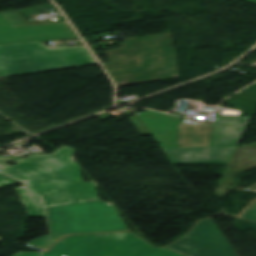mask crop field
<instances>
[{
    "label": "crop field",
    "instance_id": "crop-field-1",
    "mask_svg": "<svg viewBox=\"0 0 256 256\" xmlns=\"http://www.w3.org/2000/svg\"><path fill=\"white\" fill-rule=\"evenodd\" d=\"M74 150L64 145L50 155L0 157V172L23 182L41 207L99 201L95 183L83 182L79 164L69 160Z\"/></svg>",
    "mask_w": 256,
    "mask_h": 256
},
{
    "label": "crop field",
    "instance_id": "crop-field-2",
    "mask_svg": "<svg viewBox=\"0 0 256 256\" xmlns=\"http://www.w3.org/2000/svg\"><path fill=\"white\" fill-rule=\"evenodd\" d=\"M106 53L118 87L178 77L170 32L126 39Z\"/></svg>",
    "mask_w": 256,
    "mask_h": 256
},
{
    "label": "crop field",
    "instance_id": "crop-field-3",
    "mask_svg": "<svg viewBox=\"0 0 256 256\" xmlns=\"http://www.w3.org/2000/svg\"><path fill=\"white\" fill-rule=\"evenodd\" d=\"M83 47L49 49L42 42L0 46L2 78L94 65Z\"/></svg>",
    "mask_w": 256,
    "mask_h": 256
},
{
    "label": "crop field",
    "instance_id": "crop-field-4",
    "mask_svg": "<svg viewBox=\"0 0 256 256\" xmlns=\"http://www.w3.org/2000/svg\"><path fill=\"white\" fill-rule=\"evenodd\" d=\"M183 256L156 248L131 232L68 236L48 252H18L13 256Z\"/></svg>",
    "mask_w": 256,
    "mask_h": 256
},
{
    "label": "crop field",
    "instance_id": "crop-field-5",
    "mask_svg": "<svg viewBox=\"0 0 256 256\" xmlns=\"http://www.w3.org/2000/svg\"><path fill=\"white\" fill-rule=\"evenodd\" d=\"M167 247L187 256H238L210 217Z\"/></svg>",
    "mask_w": 256,
    "mask_h": 256
},
{
    "label": "crop field",
    "instance_id": "crop-field-6",
    "mask_svg": "<svg viewBox=\"0 0 256 256\" xmlns=\"http://www.w3.org/2000/svg\"><path fill=\"white\" fill-rule=\"evenodd\" d=\"M15 189L18 195L20 196V198L22 199L29 216L46 218L44 208L37 207L33 204L25 187H20Z\"/></svg>",
    "mask_w": 256,
    "mask_h": 256
},
{
    "label": "crop field",
    "instance_id": "crop-field-7",
    "mask_svg": "<svg viewBox=\"0 0 256 256\" xmlns=\"http://www.w3.org/2000/svg\"><path fill=\"white\" fill-rule=\"evenodd\" d=\"M231 225L235 226L236 228L242 231L246 229L256 230V223L248 222V221L237 219V218H235V220Z\"/></svg>",
    "mask_w": 256,
    "mask_h": 256
},
{
    "label": "crop field",
    "instance_id": "crop-field-8",
    "mask_svg": "<svg viewBox=\"0 0 256 256\" xmlns=\"http://www.w3.org/2000/svg\"><path fill=\"white\" fill-rule=\"evenodd\" d=\"M240 217L256 221V203H254L246 212Z\"/></svg>",
    "mask_w": 256,
    "mask_h": 256
},
{
    "label": "crop field",
    "instance_id": "crop-field-9",
    "mask_svg": "<svg viewBox=\"0 0 256 256\" xmlns=\"http://www.w3.org/2000/svg\"><path fill=\"white\" fill-rule=\"evenodd\" d=\"M16 183H19V182L0 174V188L6 187L12 184H16Z\"/></svg>",
    "mask_w": 256,
    "mask_h": 256
},
{
    "label": "crop field",
    "instance_id": "crop-field-10",
    "mask_svg": "<svg viewBox=\"0 0 256 256\" xmlns=\"http://www.w3.org/2000/svg\"><path fill=\"white\" fill-rule=\"evenodd\" d=\"M245 1L252 2V3L256 4V0H245Z\"/></svg>",
    "mask_w": 256,
    "mask_h": 256
},
{
    "label": "crop field",
    "instance_id": "crop-field-11",
    "mask_svg": "<svg viewBox=\"0 0 256 256\" xmlns=\"http://www.w3.org/2000/svg\"><path fill=\"white\" fill-rule=\"evenodd\" d=\"M0 78H1V76H0Z\"/></svg>",
    "mask_w": 256,
    "mask_h": 256
},
{
    "label": "crop field",
    "instance_id": "crop-field-12",
    "mask_svg": "<svg viewBox=\"0 0 256 256\" xmlns=\"http://www.w3.org/2000/svg\"><path fill=\"white\" fill-rule=\"evenodd\" d=\"M173 162V161H172ZM175 165V164H174Z\"/></svg>",
    "mask_w": 256,
    "mask_h": 256
}]
</instances>
